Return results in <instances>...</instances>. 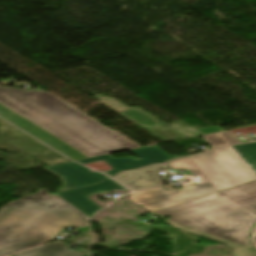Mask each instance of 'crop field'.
I'll return each instance as SVG.
<instances>
[{
  "mask_svg": "<svg viewBox=\"0 0 256 256\" xmlns=\"http://www.w3.org/2000/svg\"><path fill=\"white\" fill-rule=\"evenodd\" d=\"M232 147L256 173V142L234 145Z\"/></svg>",
  "mask_w": 256,
  "mask_h": 256,
  "instance_id": "obj_14",
  "label": "crop field"
},
{
  "mask_svg": "<svg viewBox=\"0 0 256 256\" xmlns=\"http://www.w3.org/2000/svg\"><path fill=\"white\" fill-rule=\"evenodd\" d=\"M168 167L171 169H188L192 174L200 175V183L207 181L188 158L168 164Z\"/></svg>",
  "mask_w": 256,
  "mask_h": 256,
  "instance_id": "obj_15",
  "label": "crop field"
},
{
  "mask_svg": "<svg viewBox=\"0 0 256 256\" xmlns=\"http://www.w3.org/2000/svg\"><path fill=\"white\" fill-rule=\"evenodd\" d=\"M192 127L198 129L199 131H201L204 134L223 131V129L219 126H211V127H203V128H199L197 126H192Z\"/></svg>",
  "mask_w": 256,
  "mask_h": 256,
  "instance_id": "obj_19",
  "label": "crop field"
},
{
  "mask_svg": "<svg viewBox=\"0 0 256 256\" xmlns=\"http://www.w3.org/2000/svg\"><path fill=\"white\" fill-rule=\"evenodd\" d=\"M170 127L175 129L177 132H179L180 134H182L186 138L202 135L201 132L192 128L191 126L185 128L180 124H175V125H171Z\"/></svg>",
  "mask_w": 256,
  "mask_h": 256,
  "instance_id": "obj_16",
  "label": "crop field"
},
{
  "mask_svg": "<svg viewBox=\"0 0 256 256\" xmlns=\"http://www.w3.org/2000/svg\"><path fill=\"white\" fill-rule=\"evenodd\" d=\"M228 143H239L241 142L233 133L230 131H224L219 133Z\"/></svg>",
  "mask_w": 256,
  "mask_h": 256,
  "instance_id": "obj_18",
  "label": "crop field"
},
{
  "mask_svg": "<svg viewBox=\"0 0 256 256\" xmlns=\"http://www.w3.org/2000/svg\"><path fill=\"white\" fill-rule=\"evenodd\" d=\"M250 239H251L253 247L256 249V225L253 229L252 236Z\"/></svg>",
  "mask_w": 256,
  "mask_h": 256,
  "instance_id": "obj_20",
  "label": "crop field"
},
{
  "mask_svg": "<svg viewBox=\"0 0 256 256\" xmlns=\"http://www.w3.org/2000/svg\"><path fill=\"white\" fill-rule=\"evenodd\" d=\"M85 256H88V254H87V255H85Z\"/></svg>",
  "mask_w": 256,
  "mask_h": 256,
  "instance_id": "obj_21",
  "label": "crop field"
},
{
  "mask_svg": "<svg viewBox=\"0 0 256 256\" xmlns=\"http://www.w3.org/2000/svg\"><path fill=\"white\" fill-rule=\"evenodd\" d=\"M96 97L100 99V103L123 115L149 132L165 125L138 107H129L113 97H105L103 95Z\"/></svg>",
  "mask_w": 256,
  "mask_h": 256,
  "instance_id": "obj_10",
  "label": "crop field"
},
{
  "mask_svg": "<svg viewBox=\"0 0 256 256\" xmlns=\"http://www.w3.org/2000/svg\"><path fill=\"white\" fill-rule=\"evenodd\" d=\"M213 192H216V190L207 182L175 191H167L163 188H159L135 193L132 197L135 202L143 205L152 212Z\"/></svg>",
  "mask_w": 256,
  "mask_h": 256,
  "instance_id": "obj_5",
  "label": "crop field"
},
{
  "mask_svg": "<svg viewBox=\"0 0 256 256\" xmlns=\"http://www.w3.org/2000/svg\"><path fill=\"white\" fill-rule=\"evenodd\" d=\"M119 190L127 189L109 179L95 186L59 192L56 193V195L63 198L64 200H66L67 202L91 217V215L100 208L98 205L88 199L91 194Z\"/></svg>",
  "mask_w": 256,
  "mask_h": 256,
  "instance_id": "obj_8",
  "label": "crop field"
},
{
  "mask_svg": "<svg viewBox=\"0 0 256 256\" xmlns=\"http://www.w3.org/2000/svg\"><path fill=\"white\" fill-rule=\"evenodd\" d=\"M164 224L170 225L172 227L184 230L186 232H189V233L201 236V237H205V238H208V239L220 242V243H224V244L230 245V246H232L233 254L229 255V256H256V251L253 250V249H249V248L240 246L238 244H235V243L223 240V239H219V238L207 235L205 233L199 232L197 230L191 229L189 227H186V226H183V225H180V224L168 221V220H166L164 222Z\"/></svg>",
  "mask_w": 256,
  "mask_h": 256,
  "instance_id": "obj_13",
  "label": "crop field"
},
{
  "mask_svg": "<svg viewBox=\"0 0 256 256\" xmlns=\"http://www.w3.org/2000/svg\"><path fill=\"white\" fill-rule=\"evenodd\" d=\"M153 213L251 248L248 236L256 221V181Z\"/></svg>",
  "mask_w": 256,
  "mask_h": 256,
  "instance_id": "obj_3",
  "label": "crop field"
},
{
  "mask_svg": "<svg viewBox=\"0 0 256 256\" xmlns=\"http://www.w3.org/2000/svg\"><path fill=\"white\" fill-rule=\"evenodd\" d=\"M0 103L88 157L139 147L46 91L0 88Z\"/></svg>",
  "mask_w": 256,
  "mask_h": 256,
  "instance_id": "obj_1",
  "label": "crop field"
},
{
  "mask_svg": "<svg viewBox=\"0 0 256 256\" xmlns=\"http://www.w3.org/2000/svg\"><path fill=\"white\" fill-rule=\"evenodd\" d=\"M161 165L162 164H156L139 170L121 172L113 177V179L126 185L131 190L157 187L160 185V182L155 176L154 171Z\"/></svg>",
  "mask_w": 256,
  "mask_h": 256,
  "instance_id": "obj_11",
  "label": "crop field"
},
{
  "mask_svg": "<svg viewBox=\"0 0 256 256\" xmlns=\"http://www.w3.org/2000/svg\"><path fill=\"white\" fill-rule=\"evenodd\" d=\"M44 169L62 178L63 185L58 191L94 184L108 178L99 173L91 172L74 162L44 167Z\"/></svg>",
  "mask_w": 256,
  "mask_h": 256,
  "instance_id": "obj_9",
  "label": "crop field"
},
{
  "mask_svg": "<svg viewBox=\"0 0 256 256\" xmlns=\"http://www.w3.org/2000/svg\"><path fill=\"white\" fill-rule=\"evenodd\" d=\"M0 117L73 160L88 158L2 105Z\"/></svg>",
  "mask_w": 256,
  "mask_h": 256,
  "instance_id": "obj_7",
  "label": "crop field"
},
{
  "mask_svg": "<svg viewBox=\"0 0 256 256\" xmlns=\"http://www.w3.org/2000/svg\"><path fill=\"white\" fill-rule=\"evenodd\" d=\"M87 251H71L64 243L56 242L12 256H83Z\"/></svg>",
  "mask_w": 256,
  "mask_h": 256,
  "instance_id": "obj_12",
  "label": "crop field"
},
{
  "mask_svg": "<svg viewBox=\"0 0 256 256\" xmlns=\"http://www.w3.org/2000/svg\"><path fill=\"white\" fill-rule=\"evenodd\" d=\"M133 154H135L140 160H134L132 157L130 158H114L109 154L101 155L89 159L78 160V162L82 164L96 162L104 160L113 168L108 171H104L109 176H113L121 170L125 169H134L138 167L148 166L151 163H160L165 162L167 160L178 158L182 156H169L163 150H161L157 145L133 149L130 150Z\"/></svg>",
  "mask_w": 256,
  "mask_h": 256,
  "instance_id": "obj_6",
  "label": "crop field"
},
{
  "mask_svg": "<svg viewBox=\"0 0 256 256\" xmlns=\"http://www.w3.org/2000/svg\"><path fill=\"white\" fill-rule=\"evenodd\" d=\"M217 190L256 179L231 146L190 157Z\"/></svg>",
  "mask_w": 256,
  "mask_h": 256,
  "instance_id": "obj_4",
  "label": "crop field"
},
{
  "mask_svg": "<svg viewBox=\"0 0 256 256\" xmlns=\"http://www.w3.org/2000/svg\"><path fill=\"white\" fill-rule=\"evenodd\" d=\"M89 219L46 189L24 196L0 209V256L45 244L63 228Z\"/></svg>",
  "mask_w": 256,
  "mask_h": 256,
  "instance_id": "obj_2",
  "label": "crop field"
},
{
  "mask_svg": "<svg viewBox=\"0 0 256 256\" xmlns=\"http://www.w3.org/2000/svg\"><path fill=\"white\" fill-rule=\"evenodd\" d=\"M202 137L206 139L212 147L228 144L218 133L203 135Z\"/></svg>",
  "mask_w": 256,
  "mask_h": 256,
  "instance_id": "obj_17",
  "label": "crop field"
}]
</instances>
